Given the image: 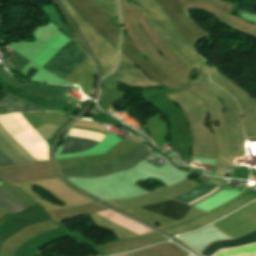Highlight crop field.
Here are the masks:
<instances>
[{"mask_svg": "<svg viewBox=\"0 0 256 256\" xmlns=\"http://www.w3.org/2000/svg\"><path fill=\"white\" fill-rule=\"evenodd\" d=\"M109 75L130 86H160L156 81L148 79L143 72L138 70L134 64L127 60L121 53L118 68Z\"/></svg>", "mask_w": 256, "mask_h": 256, "instance_id": "34b2d1b8", "label": "crop field"}, {"mask_svg": "<svg viewBox=\"0 0 256 256\" xmlns=\"http://www.w3.org/2000/svg\"><path fill=\"white\" fill-rule=\"evenodd\" d=\"M149 150L144 144H138L131 152L123 156L122 158L111 162L107 165L86 168V169H59L64 177H98L108 174H112L118 171L129 169L138 162H140L147 154Z\"/></svg>", "mask_w": 256, "mask_h": 256, "instance_id": "8a807250", "label": "crop field"}, {"mask_svg": "<svg viewBox=\"0 0 256 256\" xmlns=\"http://www.w3.org/2000/svg\"><path fill=\"white\" fill-rule=\"evenodd\" d=\"M88 58L87 53L83 52L73 39L55 54L43 68L66 80Z\"/></svg>", "mask_w": 256, "mask_h": 256, "instance_id": "ac0d7876", "label": "crop field"}, {"mask_svg": "<svg viewBox=\"0 0 256 256\" xmlns=\"http://www.w3.org/2000/svg\"><path fill=\"white\" fill-rule=\"evenodd\" d=\"M0 108L7 110L9 112L41 110L27 102H24L20 99L13 97V96H10L2 91L0 92Z\"/></svg>", "mask_w": 256, "mask_h": 256, "instance_id": "f4fd0767", "label": "crop field"}, {"mask_svg": "<svg viewBox=\"0 0 256 256\" xmlns=\"http://www.w3.org/2000/svg\"><path fill=\"white\" fill-rule=\"evenodd\" d=\"M2 190L0 189V206L2 208L6 209L12 214L27 208L25 205H23Z\"/></svg>", "mask_w": 256, "mask_h": 256, "instance_id": "5a996713", "label": "crop field"}, {"mask_svg": "<svg viewBox=\"0 0 256 256\" xmlns=\"http://www.w3.org/2000/svg\"><path fill=\"white\" fill-rule=\"evenodd\" d=\"M142 208L178 221L186 215L190 207L174 201H167Z\"/></svg>", "mask_w": 256, "mask_h": 256, "instance_id": "412701ff", "label": "crop field"}, {"mask_svg": "<svg viewBox=\"0 0 256 256\" xmlns=\"http://www.w3.org/2000/svg\"><path fill=\"white\" fill-rule=\"evenodd\" d=\"M214 187L215 186H213V185H207V184H203L202 186H200V187H198V188H196V189H194L193 191H191L190 193H188V194H186V195H183V196H180V197H177V198H174L175 200H178V201H180V202H183V203H185V204H187V203H189V202H191V201H193V200H195V199H197V198H199V197H201V196H203V195H205V194H207V193H209L211 190H213L214 189ZM217 188L218 187H216L213 191H211L209 194H211V193H213L214 191H216L217 190ZM220 189V186H219V188H218V190ZM217 190V191H218ZM216 191V192H217ZM216 192H214V193H216ZM213 193V194H214ZM209 194H207V195H209ZM212 194V195H213ZM207 195H205V196H207ZM205 196H203V197H205ZM211 196V195H210ZM202 197V198H203ZM209 197V196H208ZM207 198V197H206ZM201 199V198H200ZM205 199V198H204ZM199 200V199H198ZM203 200V199H202ZM197 201V200H196ZM201 201V200H200ZM195 202V201H194ZM199 202V201H198ZM193 203V202H192ZM192 203H190V204H192ZM197 203V202H196ZM196 203H194V204H196ZM190 204H188V205H190ZM194 204H192V205H194Z\"/></svg>", "mask_w": 256, "mask_h": 256, "instance_id": "e52e79f7", "label": "crop field"}, {"mask_svg": "<svg viewBox=\"0 0 256 256\" xmlns=\"http://www.w3.org/2000/svg\"><path fill=\"white\" fill-rule=\"evenodd\" d=\"M100 141L68 138L61 154L78 152L95 146Z\"/></svg>", "mask_w": 256, "mask_h": 256, "instance_id": "d8731c3e", "label": "crop field"}, {"mask_svg": "<svg viewBox=\"0 0 256 256\" xmlns=\"http://www.w3.org/2000/svg\"><path fill=\"white\" fill-rule=\"evenodd\" d=\"M13 162L1 149H0V166L12 164Z\"/></svg>", "mask_w": 256, "mask_h": 256, "instance_id": "3316defc", "label": "crop field"}, {"mask_svg": "<svg viewBox=\"0 0 256 256\" xmlns=\"http://www.w3.org/2000/svg\"><path fill=\"white\" fill-rule=\"evenodd\" d=\"M33 256H40L39 252H36Z\"/></svg>", "mask_w": 256, "mask_h": 256, "instance_id": "28ad6ade", "label": "crop field"}, {"mask_svg": "<svg viewBox=\"0 0 256 256\" xmlns=\"http://www.w3.org/2000/svg\"><path fill=\"white\" fill-rule=\"evenodd\" d=\"M255 241H256V231L246 236H243L239 239H235L231 241L215 242L212 245H210L208 248H206L201 254H203L204 256H209L212 253L218 251L219 249L236 247V246L244 245V244L255 242Z\"/></svg>", "mask_w": 256, "mask_h": 256, "instance_id": "dd49c442", "label": "crop field"}]
</instances>
